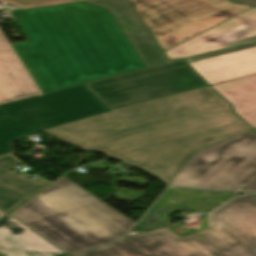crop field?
<instances>
[{
	"instance_id": "obj_1",
	"label": "crop field",
	"mask_w": 256,
	"mask_h": 256,
	"mask_svg": "<svg viewBox=\"0 0 256 256\" xmlns=\"http://www.w3.org/2000/svg\"><path fill=\"white\" fill-rule=\"evenodd\" d=\"M250 130L206 87L43 131L118 157L169 184L195 152Z\"/></svg>"
},
{
	"instance_id": "obj_2",
	"label": "crop field",
	"mask_w": 256,
	"mask_h": 256,
	"mask_svg": "<svg viewBox=\"0 0 256 256\" xmlns=\"http://www.w3.org/2000/svg\"><path fill=\"white\" fill-rule=\"evenodd\" d=\"M12 14L30 41L11 46L42 93L146 67L105 9L76 2Z\"/></svg>"
},
{
	"instance_id": "obj_3",
	"label": "crop field",
	"mask_w": 256,
	"mask_h": 256,
	"mask_svg": "<svg viewBox=\"0 0 256 256\" xmlns=\"http://www.w3.org/2000/svg\"><path fill=\"white\" fill-rule=\"evenodd\" d=\"M10 214L70 255L123 237L135 224L64 177Z\"/></svg>"
},
{
	"instance_id": "obj_4",
	"label": "crop field",
	"mask_w": 256,
	"mask_h": 256,
	"mask_svg": "<svg viewBox=\"0 0 256 256\" xmlns=\"http://www.w3.org/2000/svg\"><path fill=\"white\" fill-rule=\"evenodd\" d=\"M75 256H256V195H236L208 213L206 230L179 238L165 228Z\"/></svg>"
},
{
	"instance_id": "obj_5",
	"label": "crop field",
	"mask_w": 256,
	"mask_h": 256,
	"mask_svg": "<svg viewBox=\"0 0 256 256\" xmlns=\"http://www.w3.org/2000/svg\"><path fill=\"white\" fill-rule=\"evenodd\" d=\"M106 111L84 84L0 104V155L31 133Z\"/></svg>"
},
{
	"instance_id": "obj_6",
	"label": "crop field",
	"mask_w": 256,
	"mask_h": 256,
	"mask_svg": "<svg viewBox=\"0 0 256 256\" xmlns=\"http://www.w3.org/2000/svg\"><path fill=\"white\" fill-rule=\"evenodd\" d=\"M170 185L256 193V135L250 131L195 153Z\"/></svg>"
},
{
	"instance_id": "obj_7",
	"label": "crop field",
	"mask_w": 256,
	"mask_h": 256,
	"mask_svg": "<svg viewBox=\"0 0 256 256\" xmlns=\"http://www.w3.org/2000/svg\"><path fill=\"white\" fill-rule=\"evenodd\" d=\"M162 51L252 7L228 0H129Z\"/></svg>"
},
{
	"instance_id": "obj_8",
	"label": "crop field",
	"mask_w": 256,
	"mask_h": 256,
	"mask_svg": "<svg viewBox=\"0 0 256 256\" xmlns=\"http://www.w3.org/2000/svg\"><path fill=\"white\" fill-rule=\"evenodd\" d=\"M85 85L111 110L207 86L183 60L92 81Z\"/></svg>"
},
{
	"instance_id": "obj_9",
	"label": "crop field",
	"mask_w": 256,
	"mask_h": 256,
	"mask_svg": "<svg viewBox=\"0 0 256 256\" xmlns=\"http://www.w3.org/2000/svg\"><path fill=\"white\" fill-rule=\"evenodd\" d=\"M256 41V8L253 7L167 51L168 60Z\"/></svg>"
},
{
	"instance_id": "obj_10",
	"label": "crop field",
	"mask_w": 256,
	"mask_h": 256,
	"mask_svg": "<svg viewBox=\"0 0 256 256\" xmlns=\"http://www.w3.org/2000/svg\"><path fill=\"white\" fill-rule=\"evenodd\" d=\"M189 58L184 60L212 85L256 73V42Z\"/></svg>"
},
{
	"instance_id": "obj_11",
	"label": "crop field",
	"mask_w": 256,
	"mask_h": 256,
	"mask_svg": "<svg viewBox=\"0 0 256 256\" xmlns=\"http://www.w3.org/2000/svg\"><path fill=\"white\" fill-rule=\"evenodd\" d=\"M0 256L67 255L8 215L0 221Z\"/></svg>"
},
{
	"instance_id": "obj_12",
	"label": "crop field",
	"mask_w": 256,
	"mask_h": 256,
	"mask_svg": "<svg viewBox=\"0 0 256 256\" xmlns=\"http://www.w3.org/2000/svg\"><path fill=\"white\" fill-rule=\"evenodd\" d=\"M41 94L0 30V103Z\"/></svg>"
},
{
	"instance_id": "obj_13",
	"label": "crop field",
	"mask_w": 256,
	"mask_h": 256,
	"mask_svg": "<svg viewBox=\"0 0 256 256\" xmlns=\"http://www.w3.org/2000/svg\"><path fill=\"white\" fill-rule=\"evenodd\" d=\"M19 164L9 155L0 160V208L8 213L45 187L8 172Z\"/></svg>"
},
{
	"instance_id": "obj_14",
	"label": "crop field",
	"mask_w": 256,
	"mask_h": 256,
	"mask_svg": "<svg viewBox=\"0 0 256 256\" xmlns=\"http://www.w3.org/2000/svg\"><path fill=\"white\" fill-rule=\"evenodd\" d=\"M211 87L232 105L235 114L256 128V74Z\"/></svg>"
},
{
	"instance_id": "obj_15",
	"label": "crop field",
	"mask_w": 256,
	"mask_h": 256,
	"mask_svg": "<svg viewBox=\"0 0 256 256\" xmlns=\"http://www.w3.org/2000/svg\"><path fill=\"white\" fill-rule=\"evenodd\" d=\"M121 27L127 34L128 38L140 54L147 67L167 62L148 32L134 33L122 25Z\"/></svg>"
},
{
	"instance_id": "obj_16",
	"label": "crop field",
	"mask_w": 256,
	"mask_h": 256,
	"mask_svg": "<svg viewBox=\"0 0 256 256\" xmlns=\"http://www.w3.org/2000/svg\"><path fill=\"white\" fill-rule=\"evenodd\" d=\"M87 2L109 9L119 22L135 31L146 30V27L136 14L128 0H86Z\"/></svg>"
},
{
	"instance_id": "obj_17",
	"label": "crop field",
	"mask_w": 256,
	"mask_h": 256,
	"mask_svg": "<svg viewBox=\"0 0 256 256\" xmlns=\"http://www.w3.org/2000/svg\"><path fill=\"white\" fill-rule=\"evenodd\" d=\"M2 1L8 2L12 5L27 8V7L54 4V3L74 1V0H2Z\"/></svg>"
},
{
	"instance_id": "obj_18",
	"label": "crop field",
	"mask_w": 256,
	"mask_h": 256,
	"mask_svg": "<svg viewBox=\"0 0 256 256\" xmlns=\"http://www.w3.org/2000/svg\"><path fill=\"white\" fill-rule=\"evenodd\" d=\"M5 214H7V213H5V212H3V211L0 210V218H1L2 216H4Z\"/></svg>"
},
{
	"instance_id": "obj_19",
	"label": "crop field",
	"mask_w": 256,
	"mask_h": 256,
	"mask_svg": "<svg viewBox=\"0 0 256 256\" xmlns=\"http://www.w3.org/2000/svg\"><path fill=\"white\" fill-rule=\"evenodd\" d=\"M3 157H4V156L0 157V159L3 158Z\"/></svg>"
},
{
	"instance_id": "obj_20",
	"label": "crop field",
	"mask_w": 256,
	"mask_h": 256,
	"mask_svg": "<svg viewBox=\"0 0 256 256\" xmlns=\"http://www.w3.org/2000/svg\"><path fill=\"white\" fill-rule=\"evenodd\" d=\"M255 131H256V129H255Z\"/></svg>"
}]
</instances>
